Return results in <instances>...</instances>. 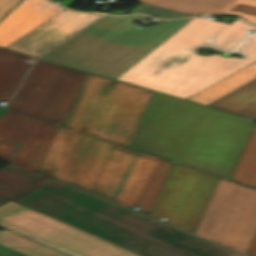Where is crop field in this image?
Segmentation results:
<instances>
[{
    "mask_svg": "<svg viewBox=\"0 0 256 256\" xmlns=\"http://www.w3.org/2000/svg\"><path fill=\"white\" fill-rule=\"evenodd\" d=\"M173 164L58 126L37 171L148 215Z\"/></svg>",
    "mask_w": 256,
    "mask_h": 256,
    "instance_id": "obj_1",
    "label": "crop field"
},
{
    "mask_svg": "<svg viewBox=\"0 0 256 256\" xmlns=\"http://www.w3.org/2000/svg\"><path fill=\"white\" fill-rule=\"evenodd\" d=\"M254 125L154 92L129 146L229 179Z\"/></svg>",
    "mask_w": 256,
    "mask_h": 256,
    "instance_id": "obj_2",
    "label": "crop field"
},
{
    "mask_svg": "<svg viewBox=\"0 0 256 256\" xmlns=\"http://www.w3.org/2000/svg\"><path fill=\"white\" fill-rule=\"evenodd\" d=\"M255 28L194 17L117 80L186 99L256 60V31L246 34ZM200 47L241 58L199 56Z\"/></svg>",
    "mask_w": 256,
    "mask_h": 256,
    "instance_id": "obj_3",
    "label": "crop field"
},
{
    "mask_svg": "<svg viewBox=\"0 0 256 256\" xmlns=\"http://www.w3.org/2000/svg\"><path fill=\"white\" fill-rule=\"evenodd\" d=\"M16 202L143 256H243L69 186Z\"/></svg>",
    "mask_w": 256,
    "mask_h": 256,
    "instance_id": "obj_4",
    "label": "crop field"
},
{
    "mask_svg": "<svg viewBox=\"0 0 256 256\" xmlns=\"http://www.w3.org/2000/svg\"><path fill=\"white\" fill-rule=\"evenodd\" d=\"M87 74L38 59L0 117V158L36 171Z\"/></svg>",
    "mask_w": 256,
    "mask_h": 256,
    "instance_id": "obj_5",
    "label": "crop field"
},
{
    "mask_svg": "<svg viewBox=\"0 0 256 256\" xmlns=\"http://www.w3.org/2000/svg\"><path fill=\"white\" fill-rule=\"evenodd\" d=\"M141 16L105 15L40 58L116 79L190 20H165L138 29L130 22Z\"/></svg>",
    "mask_w": 256,
    "mask_h": 256,
    "instance_id": "obj_6",
    "label": "crop field"
},
{
    "mask_svg": "<svg viewBox=\"0 0 256 256\" xmlns=\"http://www.w3.org/2000/svg\"><path fill=\"white\" fill-rule=\"evenodd\" d=\"M152 93L89 73L64 126L128 146Z\"/></svg>",
    "mask_w": 256,
    "mask_h": 256,
    "instance_id": "obj_7",
    "label": "crop field"
},
{
    "mask_svg": "<svg viewBox=\"0 0 256 256\" xmlns=\"http://www.w3.org/2000/svg\"><path fill=\"white\" fill-rule=\"evenodd\" d=\"M256 232V190L219 179L195 235L246 253Z\"/></svg>",
    "mask_w": 256,
    "mask_h": 256,
    "instance_id": "obj_8",
    "label": "crop field"
},
{
    "mask_svg": "<svg viewBox=\"0 0 256 256\" xmlns=\"http://www.w3.org/2000/svg\"><path fill=\"white\" fill-rule=\"evenodd\" d=\"M0 225L80 256H140L14 201L0 206Z\"/></svg>",
    "mask_w": 256,
    "mask_h": 256,
    "instance_id": "obj_9",
    "label": "crop field"
},
{
    "mask_svg": "<svg viewBox=\"0 0 256 256\" xmlns=\"http://www.w3.org/2000/svg\"><path fill=\"white\" fill-rule=\"evenodd\" d=\"M218 179L175 163L149 215L194 233Z\"/></svg>",
    "mask_w": 256,
    "mask_h": 256,
    "instance_id": "obj_10",
    "label": "crop field"
},
{
    "mask_svg": "<svg viewBox=\"0 0 256 256\" xmlns=\"http://www.w3.org/2000/svg\"><path fill=\"white\" fill-rule=\"evenodd\" d=\"M100 15L65 9L5 49L36 57Z\"/></svg>",
    "mask_w": 256,
    "mask_h": 256,
    "instance_id": "obj_11",
    "label": "crop field"
},
{
    "mask_svg": "<svg viewBox=\"0 0 256 256\" xmlns=\"http://www.w3.org/2000/svg\"><path fill=\"white\" fill-rule=\"evenodd\" d=\"M62 10L46 0L21 1L0 21V47H6Z\"/></svg>",
    "mask_w": 256,
    "mask_h": 256,
    "instance_id": "obj_12",
    "label": "crop field"
},
{
    "mask_svg": "<svg viewBox=\"0 0 256 256\" xmlns=\"http://www.w3.org/2000/svg\"><path fill=\"white\" fill-rule=\"evenodd\" d=\"M45 179L42 174L10 163L0 168V195L14 200L39 188L34 184Z\"/></svg>",
    "mask_w": 256,
    "mask_h": 256,
    "instance_id": "obj_13",
    "label": "crop field"
},
{
    "mask_svg": "<svg viewBox=\"0 0 256 256\" xmlns=\"http://www.w3.org/2000/svg\"><path fill=\"white\" fill-rule=\"evenodd\" d=\"M20 56L23 55L0 49V102H8L31 66L30 63L17 61Z\"/></svg>",
    "mask_w": 256,
    "mask_h": 256,
    "instance_id": "obj_14",
    "label": "crop field"
},
{
    "mask_svg": "<svg viewBox=\"0 0 256 256\" xmlns=\"http://www.w3.org/2000/svg\"><path fill=\"white\" fill-rule=\"evenodd\" d=\"M255 78L256 61L187 100L208 105Z\"/></svg>",
    "mask_w": 256,
    "mask_h": 256,
    "instance_id": "obj_15",
    "label": "crop field"
},
{
    "mask_svg": "<svg viewBox=\"0 0 256 256\" xmlns=\"http://www.w3.org/2000/svg\"><path fill=\"white\" fill-rule=\"evenodd\" d=\"M208 106L256 119V79Z\"/></svg>",
    "mask_w": 256,
    "mask_h": 256,
    "instance_id": "obj_16",
    "label": "crop field"
},
{
    "mask_svg": "<svg viewBox=\"0 0 256 256\" xmlns=\"http://www.w3.org/2000/svg\"><path fill=\"white\" fill-rule=\"evenodd\" d=\"M188 14L222 13L236 0H136ZM226 11V10H225Z\"/></svg>",
    "mask_w": 256,
    "mask_h": 256,
    "instance_id": "obj_17",
    "label": "crop field"
},
{
    "mask_svg": "<svg viewBox=\"0 0 256 256\" xmlns=\"http://www.w3.org/2000/svg\"><path fill=\"white\" fill-rule=\"evenodd\" d=\"M0 244L31 256H73L6 229L0 231Z\"/></svg>",
    "mask_w": 256,
    "mask_h": 256,
    "instance_id": "obj_18",
    "label": "crop field"
},
{
    "mask_svg": "<svg viewBox=\"0 0 256 256\" xmlns=\"http://www.w3.org/2000/svg\"><path fill=\"white\" fill-rule=\"evenodd\" d=\"M230 179L256 187V125Z\"/></svg>",
    "mask_w": 256,
    "mask_h": 256,
    "instance_id": "obj_19",
    "label": "crop field"
},
{
    "mask_svg": "<svg viewBox=\"0 0 256 256\" xmlns=\"http://www.w3.org/2000/svg\"><path fill=\"white\" fill-rule=\"evenodd\" d=\"M223 13L238 14L251 23H256V0H237Z\"/></svg>",
    "mask_w": 256,
    "mask_h": 256,
    "instance_id": "obj_20",
    "label": "crop field"
},
{
    "mask_svg": "<svg viewBox=\"0 0 256 256\" xmlns=\"http://www.w3.org/2000/svg\"><path fill=\"white\" fill-rule=\"evenodd\" d=\"M133 12H143V13L149 14L156 18H175V17L191 16L188 14H184V13H180V12L144 4V3L139 5L137 8H135L130 13H133Z\"/></svg>",
    "mask_w": 256,
    "mask_h": 256,
    "instance_id": "obj_21",
    "label": "crop field"
},
{
    "mask_svg": "<svg viewBox=\"0 0 256 256\" xmlns=\"http://www.w3.org/2000/svg\"><path fill=\"white\" fill-rule=\"evenodd\" d=\"M20 0H0V19L8 13Z\"/></svg>",
    "mask_w": 256,
    "mask_h": 256,
    "instance_id": "obj_22",
    "label": "crop field"
},
{
    "mask_svg": "<svg viewBox=\"0 0 256 256\" xmlns=\"http://www.w3.org/2000/svg\"><path fill=\"white\" fill-rule=\"evenodd\" d=\"M36 185H38V186H40V187H42L44 189H47V190H49L51 192H54V191H56V190H58V189H60V188H62L64 186H66V185H63L61 183L55 182L53 180H50V179H47V180H45L43 182H40V183H38Z\"/></svg>",
    "mask_w": 256,
    "mask_h": 256,
    "instance_id": "obj_23",
    "label": "crop field"
},
{
    "mask_svg": "<svg viewBox=\"0 0 256 256\" xmlns=\"http://www.w3.org/2000/svg\"><path fill=\"white\" fill-rule=\"evenodd\" d=\"M0 256H28L0 245Z\"/></svg>",
    "mask_w": 256,
    "mask_h": 256,
    "instance_id": "obj_24",
    "label": "crop field"
},
{
    "mask_svg": "<svg viewBox=\"0 0 256 256\" xmlns=\"http://www.w3.org/2000/svg\"><path fill=\"white\" fill-rule=\"evenodd\" d=\"M246 254L250 256H256V234Z\"/></svg>",
    "mask_w": 256,
    "mask_h": 256,
    "instance_id": "obj_25",
    "label": "crop field"
},
{
    "mask_svg": "<svg viewBox=\"0 0 256 256\" xmlns=\"http://www.w3.org/2000/svg\"><path fill=\"white\" fill-rule=\"evenodd\" d=\"M76 0H61L58 2V4H61L63 6L69 7L72 3H74Z\"/></svg>",
    "mask_w": 256,
    "mask_h": 256,
    "instance_id": "obj_26",
    "label": "crop field"
},
{
    "mask_svg": "<svg viewBox=\"0 0 256 256\" xmlns=\"http://www.w3.org/2000/svg\"><path fill=\"white\" fill-rule=\"evenodd\" d=\"M5 111H7V109H4V108H1V107H0V116H1Z\"/></svg>",
    "mask_w": 256,
    "mask_h": 256,
    "instance_id": "obj_27",
    "label": "crop field"
},
{
    "mask_svg": "<svg viewBox=\"0 0 256 256\" xmlns=\"http://www.w3.org/2000/svg\"><path fill=\"white\" fill-rule=\"evenodd\" d=\"M52 1L56 2L57 0H52Z\"/></svg>",
    "mask_w": 256,
    "mask_h": 256,
    "instance_id": "obj_28",
    "label": "crop field"
}]
</instances>
